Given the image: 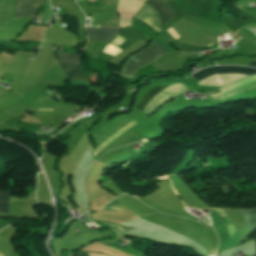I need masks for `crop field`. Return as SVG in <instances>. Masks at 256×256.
I'll return each mask as SVG.
<instances>
[{
    "label": "crop field",
    "instance_id": "1",
    "mask_svg": "<svg viewBox=\"0 0 256 256\" xmlns=\"http://www.w3.org/2000/svg\"><path fill=\"white\" fill-rule=\"evenodd\" d=\"M221 217L226 216L223 209L217 210ZM214 211L210 213V219L213 223V227L220 237V248L219 250L226 249L228 247L238 245V234L230 219L226 216L221 218L220 215ZM247 220L251 231L256 229V209L250 211L240 210ZM218 250V251H219Z\"/></svg>",
    "mask_w": 256,
    "mask_h": 256
},
{
    "label": "crop field",
    "instance_id": "2",
    "mask_svg": "<svg viewBox=\"0 0 256 256\" xmlns=\"http://www.w3.org/2000/svg\"><path fill=\"white\" fill-rule=\"evenodd\" d=\"M222 73H241L251 75L256 73V69L248 68V67H237V66H224V67H211L205 68L197 73H195L196 80L203 79L212 74H222ZM246 75L240 74H222V75H213L207 77L197 83L199 85H207V86H216L218 84H227L231 81L244 77Z\"/></svg>",
    "mask_w": 256,
    "mask_h": 256
},
{
    "label": "crop field",
    "instance_id": "3",
    "mask_svg": "<svg viewBox=\"0 0 256 256\" xmlns=\"http://www.w3.org/2000/svg\"><path fill=\"white\" fill-rule=\"evenodd\" d=\"M165 87H156L153 90H151L148 94H146L141 101L137 104L136 109L139 110H143V108L146 106V104L162 89H164ZM185 88L184 85L177 83L174 84L162 91H160L149 103L148 105L145 107L144 112L150 114L152 113L154 110H156L157 105L162 102L166 97H168L169 95H171L172 93ZM187 91V88L182 89L174 94H172L171 96H169L168 98H166L161 104L165 103L166 101H168L169 99L175 97L176 95ZM159 104V106L161 105ZM158 106V107H159Z\"/></svg>",
    "mask_w": 256,
    "mask_h": 256
},
{
    "label": "crop field",
    "instance_id": "4",
    "mask_svg": "<svg viewBox=\"0 0 256 256\" xmlns=\"http://www.w3.org/2000/svg\"><path fill=\"white\" fill-rule=\"evenodd\" d=\"M131 119L127 118L125 115H122L120 117H116L114 120H112L110 123H108L106 126L101 128L99 131H97L95 134H93V138L96 141L97 145H100L104 140L109 138L111 135H113L115 132H117L119 129H121L123 126H125L127 123H129ZM138 122L132 121L128 125H126L124 128H122L120 131H118L116 134H114L112 137L104 141L96 150L94 153V156L103 149L109 142H111L113 139L118 137L120 134L125 132L128 128H130L132 125L136 124Z\"/></svg>",
    "mask_w": 256,
    "mask_h": 256
},
{
    "label": "crop field",
    "instance_id": "5",
    "mask_svg": "<svg viewBox=\"0 0 256 256\" xmlns=\"http://www.w3.org/2000/svg\"><path fill=\"white\" fill-rule=\"evenodd\" d=\"M166 52L167 51L160 44H158L156 41L153 40L147 48L131 56L127 60L121 73L130 77L132 72L136 68L153 61L158 56Z\"/></svg>",
    "mask_w": 256,
    "mask_h": 256
},
{
    "label": "crop field",
    "instance_id": "6",
    "mask_svg": "<svg viewBox=\"0 0 256 256\" xmlns=\"http://www.w3.org/2000/svg\"><path fill=\"white\" fill-rule=\"evenodd\" d=\"M253 81H256V75L255 76H250V77H248L246 79H242V80H239V81H237L235 83H232V84H229L227 86H224V87L220 88V91L225 93V92H227L229 90H232L234 88L240 87L242 85L248 84V83L253 82ZM252 88H256V82H253L251 84H248V85H245L243 87L237 88L235 90L229 91V92H227L225 94L212 97L211 99L213 101L227 99V98L233 97L235 95H238V94H240L242 92H245V91H247L249 89H252Z\"/></svg>",
    "mask_w": 256,
    "mask_h": 256
},
{
    "label": "crop field",
    "instance_id": "7",
    "mask_svg": "<svg viewBox=\"0 0 256 256\" xmlns=\"http://www.w3.org/2000/svg\"><path fill=\"white\" fill-rule=\"evenodd\" d=\"M44 0H16L14 18H35Z\"/></svg>",
    "mask_w": 256,
    "mask_h": 256
},
{
    "label": "crop field",
    "instance_id": "8",
    "mask_svg": "<svg viewBox=\"0 0 256 256\" xmlns=\"http://www.w3.org/2000/svg\"><path fill=\"white\" fill-rule=\"evenodd\" d=\"M120 27H99L98 30L95 28H86L88 40H102L110 42L112 38L118 33Z\"/></svg>",
    "mask_w": 256,
    "mask_h": 256
},
{
    "label": "crop field",
    "instance_id": "9",
    "mask_svg": "<svg viewBox=\"0 0 256 256\" xmlns=\"http://www.w3.org/2000/svg\"><path fill=\"white\" fill-rule=\"evenodd\" d=\"M135 17L146 21L158 33L161 32L160 19H159L158 14L153 9H151L149 6H147L146 4L140 9V11L137 13V15Z\"/></svg>",
    "mask_w": 256,
    "mask_h": 256
},
{
    "label": "crop field",
    "instance_id": "10",
    "mask_svg": "<svg viewBox=\"0 0 256 256\" xmlns=\"http://www.w3.org/2000/svg\"><path fill=\"white\" fill-rule=\"evenodd\" d=\"M150 6L155 8L161 16L162 26L172 20L177 14L169 7L167 2H161L159 0H151L148 2Z\"/></svg>",
    "mask_w": 256,
    "mask_h": 256
},
{
    "label": "crop field",
    "instance_id": "11",
    "mask_svg": "<svg viewBox=\"0 0 256 256\" xmlns=\"http://www.w3.org/2000/svg\"><path fill=\"white\" fill-rule=\"evenodd\" d=\"M56 52H57V56L59 59L58 63L81 65V59H80L79 55L62 53V52H58V51H56Z\"/></svg>",
    "mask_w": 256,
    "mask_h": 256
},
{
    "label": "crop field",
    "instance_id": "12",
    "mask_svg": "<svg viewBox=\"0 0 256 256\" xmlns=\"http://www.w3.org/2000/svg\"><path fill=\"white\" fill-rule=\"evenodd\" d=\"M64 74L68 78L83 79L81 75V66L63 65L59 64ZM84 80V79H83Z\"/></svg>",
    "mask_w": 256,
    "mask_h": 256
},
{
    "label": "crop field",
    "instance_id": "13",
    "mask_svg": "<svg viewBox=\"0 0 256 256\" xmlns=\"http://www.w3.org/2000/svg\"><path fill=\"white\" fill-rule=\"evenodd\" d=\"M0 213L10 214L9 192L0 191Z\"/></svg>",
    "mask_w": 256,
    "mask_h": 256
},
{
    "label": "crop field",
    "instance_id": "14",
    "mask_svg": "<svg viewBox=\"0 0 256 256\" xmlns=\"http://www.w3.org/2000/svg\"><path fill=\"white\" fill-rule=\"evenodd\" d=\"M125 39H123L121 36H117L113 41L112 44L118 46L120 43H122Z\"/></svg>",
    "mask_w": 256,
    "mask_h": 256
},
{
    "label": "crop field",
    "instance_id": "15",
    "mask_svg": "<svg viewBox=\"0 0 256 256\" xmlns=\"http://www.w3.org/2000/svg\"><path fill=\"white\" fill-rule=\"evenodd\" d=\"M176 40L180 37L177 33H175L171 28L167 30ZM213 44V43H211ZM210 45V44H209Z\"/></svg>",
    "mask_w": 256,
    "mask_h": 256
},
{
    "label": "crop field",
    "instance_id": "16",
    "mask_svg": "<svg viewBox=\"0 0 256 256\" xmlns=\"http://www.w3.org/2000/svg\"><path fill=\"white\" fill-rule=\"evenodd\" d=\"M77 256H91L90 254H80L78 253Z\"/></svg>",
    "mask_w": 256,
    "mask_h": 256
},
{
    "label": "crop field",
    "instance_id": "17",
    "mask_svg": "<svg viewBox=\"0 0 256 256\" xmlns=\"http://www.w3.org/2000/svg\"><path fill=\"white\" fill-rule=\"evenodd\" d=\"M250 66H254V67H256V62H250Z\"/></svg>",
    "mask_w": 256,
    "mask_h": 256
}]
</instances>
